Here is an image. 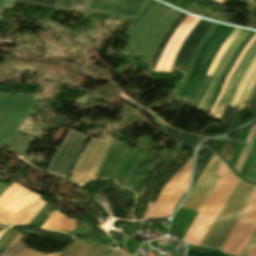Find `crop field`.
<instances>
[{
    "label": "crop field",
    "instance_id": "crop-field-1",
    "mask_svg": "<svg viewBox=\"0 0 256 256\" xmlns=\"http://www.w3.org/2000/svg\"><path fill=\"white\" fill-rule=\"evenodd\" d=\"M255 191L256 186L239 180L200 245L221 249Z\"/></svg>",
    "mask_w": 256,
    "mask_h": 256
},
{
    "label": "crop field",
    "instance_id": "crop-field-2",
    "mask_svg": "<svg viewBox=\"0 0 256 256\" xmlns=\"http://www.w3.org/2000/svg\"><path fill=\"white\" fill-rule=\"evenodd\" d=\"M233 29V27L217 24L200 49L188 77L173 95L176 100L180 101L184 99L190 102L192 101L212 60L214 59L222 43L230 35Z\"/></svg>",
    "mask_w": 256,
    "mask_h": 256
},
{
    "label": "crop field",
    "instance_id": "crop-field-3",
    "mask_svg": "<svg viewBox=\"0 0 256 256\" xmlns=\"http://www.w3.org/2000/svg\"><path fill=\"white\" fill-rule=\"evenodd\" d=\"M109 146V143L91 138L78 160L70 180L83 184L94 178Z\"/></svg>",
    "mask_w": 256,
    "mask_h": 256
},
{
    "label": "crop field",
    "instance_id": "crop-field-4",
    "mask_svg": "<svg viewBox=\"0 0 256 256\" xmlns=\"http://www.w3.org/2000/svg\"><path fill=\"white\" fill-rule=\"evenodd\" d=\"M88 136L69 130L56 152L48 171L65 178Z\"/></svg>",
    "mask_w": 256,
    "mask_h": 256
},
{
    "label": "crop field",
    "instance_id": "crop-field-5",
    "mask_svg": "<svg viewBox=\"0 0 256 256\" xmlns=\"http://www.w3.org/2000/svg\"><path fill=\"white\" fill-rule=\"evenodd\" d=\"M220 159L213 153L210 161L182 204V208L190 209L199 212L212 188L218 180V177L213 176L220 164Z\"/></svg>",
    "mask_w": 256,
    "mask_h": 256
},
{
    "label": "crop field",
    "instance_id": "crop-field-6",
    "mask_svg": "<svg viewBox=\"0 0 256 256\" xmlns=\"http://www.w3.org/2000/svg\"><path fill=\"white\" fill-rule=\"evenodd\" d=\"M255 56H256V40L252 44V46L248 49V51L245 53V55L242 57L237 69L232 75L224 91V94L213 113V118H217V119L222 118L224 110L225 108L228 107L239 81L243 77L247 67L249 66V64L251 63V61Z\"/></svg>",
    "mask_w": 256,
    "mask_h": 256
},
{
    "label": "crop field",
    "instance_id": "crop-field-7",
    "mask_svg": "<svg viewBox=\"0 0 256 256\" xmlns=\"http://www.w3.org/2000/svg\"><path fill=\"white\" fill-rule=\"evenodd\" d=\"M212 24V22L200 19L196 27L190 32L180 47L172 68H177L184 72L186 71L192 53Z\"/></svg>",
    "mask_w": 256,
    "mask_h": 256
},
{
    "label": "crop field",
    "instance_id": "crop-field-8",
    "mask_svg": "<svg viewBox=\"0 0 256 256\" xmlns=\"http://www.w3.org/2000/svg\"><path fill=\"white\" fill-rule=\"evenodd\" d=\"M40 198L41 196L29 191L4 223L10 225H26L46 204V202L39 200Z\"/></svg>",
    "mask_w": 256,
    "mask_h": 256
},
{
    "label": "crop field",
    "instance_id": "crop-field-9",
    "mask_svg": "<svg viewBox=\"0 0 256 256\" xmlns=\"http://www.w3.org/2000/svg\"><path fill=\"white\" fill-rule=\"evenodd\" d=\"M144 1L145 0H92L87 9L102 10L129 17L136 15Z\"/></svg>",
    "mask_w": 256,
    "mask_h": 256
},
{
    "label": "crop field",
    "instance_id": "crop-field-10",
    "mask_svg": "<svg viewBox=\"0 0 256 256\" xmlns=\"http://www.w3.org/2000/svg\"><path fill=\"white\" fill-rule=\"evenodd\" d=\"M248 30H244L242 29L241 33L237 36V38L233 41V43L230 45V47L227 49L222 61L220 62L216 72L213 74L207 88L205 89L198 105H197V109H201L203 110L209 96L210 93L215 85V83L217 82V80L219 79L220 75L222 74L225 66L227 65L230 57L233 55V53L235 52L236 48L238 47V45L241 43V41L245 38V36L248 34Z\"/></svg>",
    "mask_w": 256,
    "mask_h": 256
},
{
    "label": "crop field",
    "instance_id": "crop-field-11",
    "mask_svg": "<svg viewBox=\"0 0 256 256\" xmlns=\"http://www.w3.org/2000/svg\"><path fill=\"white\" fill-rule=\"evenodd\" d=\"M127 149L128 146L112 144L95 178L111 179Z\"/></svg>",
    "mask_w": 256,
    "mask_h": 256
},
{
    "label": "crop field",
    "instance_id": "crop-field-12",
    "mask_svg": "<svg viewBox=\"0 0 256 256\" xmlns=\"http://www.w3.org/2000/svg\"><path fill=\"white\" fill-rule=\"evenodd\" d=\"M93 245L73 242L70 249L63 256H87ZM123 253H116L105 248L97 247L88 256H125Z\"/></svg>",
    "mask_w": 256,
    "mask_h": 256
},
{
    "label": "crop field",
    "instance_id": "crop-field-13",
    "mask_svg": "<svg viewBox=\"0 0 256 256\" xmlns=\"http://www.w3.org/2000/svg\"><path fill=\"white\" fill-rule=\"evenodd\" d=\"M186 14L180 12V14L176 17V19L171 23L170 27L168 28V30L166 31V33L164 34V36L161 38V40L159 41L153 56L149 62L150 67L148 70L153 71L157 60L159 58V55L161 54L166 42L169 40V38L172 36V34L174 33V31L176 30L177 26L181 23V21L185 18Z\"/></svg>",
    "mask_w": 256,
    "mask_h": 256
},
{
    "label": "crop field",
    "instance_id": "crop-field-14",
    "mask_svg": "<svg viewBox=\"0 0 256 256\" xmlns=\"http://www.w3.org/2000/svg\"><path fill=\"white\" fill-rule=\"evenodd\" d=\"M255 33L250 31V33L247 35V37L245 38V40L242 42V44L240 45V47L237 49V51L234 53V55L232 56L231 60L229 61L228 65L226 66L221 78L219 79V81L217 82V86H216V90L212 92L206 106L204 109H206V112H208L222 86L223 81L225 80L226 76L228 75L230 69L232 68L233 64L235 63L239 53L241 52V50L243 49V47L246 45V43L250 40V38L254 35Z\"/></svg>",
    "mask_w": 256,
    "mask_h": 256
},
{
    "label": "crop field",
    "instance_id": "crop-field-15",
    "mask_svg": "<svg viewBox=\"0 0 256 256\" xmlns=\"http://www.w3.org/2000/svg\"><path fill=\"white\" fill-rule=\"evenodd\" d=\"M22 237L23 236L19 234L1 256H45L23 247L22 243L20 242Z\"/></svg>",
    "mask_w": 256,
    "mask_h": 256
},
{
    "label": "crop field",
    "instance_id": "crop-field-16",
    "mask_svg": "<svg viewBox=\"0 0 256 256\" xmlns=\"http://www.w3.org/2000/svg\"><path fill=\"white\" fill-rule=\"evenodd\" d=\"M159 163H160V161H155L149 167L146 166L143 171L133 175V177H132V179H131V181H130V183L128 185V188L133 189L135 191V193H136V196H138L140 194V192H141V190L143 188V183H144L146 177L148 176V174L151 171H153L159 165ZM147 167H148V169L146 170ZM142 173H143V175H142ZM141 175H142V177L140 178Z\"/></svg>",
    "mask_w": 256,
    "mask_h": 256
},
{
    "label": "crop field",
    "instance_id": "crop-field-17",
    "mask_svg": "<svg viewBox=\"0 0 256 256\" xmlns=\"http://www.w3.org/2000/svg\"><path fill=\"white\" fill-rule=\"evenodd\" d=\"M240 31H241V29L235 28V30L231 33V35L226 39V41L223 43L221 49L219 50L218 54L216 55L212 65L204 79H207V80L210 79V77L212 76L216 67L218 66L219 62L221 61L227 47L232 43V41L235 39V37L238 35V33Z\"/></svg>",
    "mask_w": 256,
    "mask_h": 256
},
{
    "label": "crop field",
    "instance_id": "crop-field-18",
    "mask_svg": "<svg viewBox=\"0 0 256 256\" xmlns=\"http://www.w3.org/2000/svg\"><path fill=\"white\" fill-rule=\"evenodd\" d=\"M212 153L213 152L209 149L203 148L198 154H196L193 185L205 167L206 163L208 162L209 158L211 157Z\"/></svg>",
    "mask_w": 256,
    "mask_h": 256
},
{
    "label": "crop field",
    "instance_id": "crop-field-19",
    "mask_svg": "<svg viewBox=\"0 0 256 256\" xmlns=\"http://www.w3.org/2000/svg\"><path fill=\"white\" fill-rule=\"evenodd\" d=\"M255 68H256V57L252 61V63L250 64L246 74L244 75L242 81L240 82V84H239V86H238V88L236 90V94H235V96H234V98H233V100H232V102L230 104V107H235L237 105V103H238V101L240 99V96H241V94H242V92H243L247 82L249 81L252 73L254 72Z\"/></svg>",
    "mask_w": 256,
    "mask_h": 256
},
{
    "label": "crop field",
    "instance_id": "crop-field-20",
    "mask_svg": "<svg viewBox=\"0 0 256 256\" xmlns=\"http://www.w3.org/2000/svg\"><path fill=\"white\" fill-rule=\"evenodd\" d=\"M91 0H57L54 7L86 9Z\"/></svg>",
    "mask_w": 256,
    "mask_h": 256
},
{
    "label": "crop field",
    "instance_id": "crop-field-21",
    "mask_svg": "<svg viewBox=\"0 0 256 256\" xmlns=\"http://www.w3.org/2000/svg\"><path fill=\"white\" fill-rule=\"evenodd\" d=\"M255 83H256V70L253 73L248 85L246 86L236 110H241L244 107V105L246 104V102L248 100L249 94H250L251 90L253 89Z\"/></svg>",
    "mask_w": 256,
    "mask_h": 256
},
{
    "label": "crop field",
    "instance_id": "crop-field-22",
    "mask_svg": "<svg viewBox=\"0 0 256 256\" xmlns=\"http://www.w3.org/2000/svg\"><path fill=\"white\" fill-rule=\"evenodd\" d=\"M255 139H256V132H255L251 142L249 144L245 145V147H244V149H243V151H242V153H241V155H240V157H239V159H238V161H237V163H236V165L234 167L238 172H240V170H241V168L243 166V163H244V161H245V159L247 157V153L250 150V148L252 147Z\"/></svg>",
    "mask_w": 256,
    "mask_h": 256
},
{
    "label": "crop field",
    "instance_id": "crop-field-23",
    "mask_svg": "<svg viewBox=\"0 0 256 256\" xmlns=\"http://www.w3.org/2000/svg\"><path fill=\"white\" fill-rule=\"evenodd\" d=\"M237 144V142L229 140L226 141L221 153L226 157L228 161H230Z\"/></svg>",
    "mask_w": 256,
    "mask_h": 256
},
{
    "label": "crop field",
    "instance_id": "crop-field-24",
    "mask_svg": "<svg viewBox=\"0 0 256 256\" xmlns=\"http://www.w3.org/2000/svg\"><path fill=\"white\" fill-rule=\"evenodd\" d=\"M18 233L11 231L7 237L0 244V255L3 251L12 243V241L17 237Z\"/></svg>",
    "mask_w": 256,
    "mask_h": 256
},
{
    "label": "crop field",
    "instance_id": "crop-field-25",
    "mask_svg": "<svg viewBox=\"0 0 256 256\" xmlns=\"http://www.w3.org/2000/svg\"><path fill=\"white\" fill-rule=\"evenodd\" d=\"M244 178H246L250 181L256 182V155H255Z\"/></svg>",
    "mask_w": 256,
    "mask_h": 256
},
{
    "label": "crop field",
    "instance_id": "crop-field-26",
    "mask_svg": "<svg viewBox=\"0 0 256 256\" xmlns=\"http://www.w3.org/2000/svg\"><path fill=\"white\" fill-rule=\"evenodd\" d=\"M256 245V231L254 232L253 236L251 237L250 241L246 245L245 249L243 250L241 256H249L252 249Z\"/></svg>",
    "mask_w": 256,
    "mask_h": 256
},
{
    "label": "crop field",
    "instance_id": "crop-field-27",
    "mask_svg": "<svg viewBox=\"0 0 256 256\" xmlns=\"http://www.w3.org/2000/svg\"><path fill=\"white\" fill-rule=\"evenodd\" d=\"M187 256H225V255L215 253L211 250L208 253H203V252H198V251H195V250H190L187 253Z\"/></svg>",
    "mask_w": 256,
    "mask_h": 256
},
{
    "label": "crop field",
    "instance_id": "crop-field-28",
    "mask_svg": "<svg viewBox=\"0 0 256 256\" xmlns=\"http://www.w3.org/2000/svg\"><path fill=\"white\" fill-rule=\"evenodd\" d=\"M25 1L38 3V4L50 6V7H53L54 3L56 2V0H25Z\"/></svg>",
    "mask_w": 256,
    "mask_h": 256
},
{
    "label": "crop field",
    "instance_id": "crop-field-29",
    "mask_svg": "<svg viewBox=\"0 0 256 256\" xmlns=\"http://www.w3.org/2000/svg\"><path fill=\"white\" fill-rule=\"evenodd\" d=\"M14 0H0V12L2 7H10L12 6Z\"/></svg>",
    "mask_w": 256,
    "mask_h": 256
},
{
    "label": "crop field",
    "instance_id": "crop-field-30",
    "mask_svg": "<svg viewBox=\"0 0 256 256\" xmlns=\"http://www.w3.org/2000/svg\"><path fill=\"white\" fill-rule=\"evenodd\" d=\"M255 97H256V86H255V88H254V90H253V92H252V94H251V96L249 98V101H248V104H247L246 108H248V109L251 108V106H252V104H253V102L255 100Z\"/></svg>",
    "mask_w": 256,
    "mask_h": 256
},
{
    "label": "crop field",
    "instance_id": "crop-field-31",
    "mask_svg": "<svg viewBox=\"0 0 256 256\" xmlns=\"http://www.w3.org/2000/svg\"><path fill=\"white\" fill-rule=\"evenodd\" d=\"M215 1H217V2L222 4L225 0H215Z\"/></svg>",
    "mask_w": 256,
    "mask_h": 256
},
{
    "label": "crop field",
    "instance_id": "crop-field-32",
    "mask_svg": "<svg viewBox=\"0 0 256 256\" xmlns=\"http://www.w3.org/2000/svg\"><path fill=\"white\" fill-rule=\"evenodd\" d=\"M4 228H6V227H5V226L0 225V230H2V229H4Z\"/></svg>",
    "mask_w": 256,
    "mask_h": 256
}]
</instances>
